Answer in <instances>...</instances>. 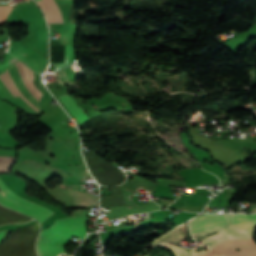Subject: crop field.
Instances as JSON below:
<instances>
[{"label": "crop field", "mask_w": 256, "mask_h": 256, "mask_svg": "<svg viewBox=\"0 0 256 256\" xmlns=\"http://www.w3.org/2000/svg\"><path fill=\"white\" fill-rule=\"evenodd\" d=\"M229 219H239V220H256V214L253 215H243V214H228ZM203 217L206 221L212 220H223L228 219L227 214L222 215H209L204 214ZM202 215L194 218L193 220L189 221V227L192 235L194 237L199 235H205L213 231H217L219 234H216L219 240L229 245L231 248H239L240 250L256 254V244L252 240V238L245 232L247 231L251 236L254 234V226L256 225V221H238V220H230L232 224L236 225L239 228L230 224L229 220L223 221H212L206 222ZM183 234L185 237L186 234L184 232L183 225H181ZM181 227L178 226L174 230L170 231L166 235L157 238L154 242L149 244V246H155L160 243L166 244L171 251H173L176 256H197L205 250H200L198 252H191L189 250H184L177 246H174L175 243L183 238H185L182 234ZM216 235L210 236L208 238L202 239L203 242L202 246H206L207 249L213 247L220 241L216 237ZM219 243L218 245L214 246L213 248L203 252L199 256H213L216 253L222 251L223 249L227 248L228 246L224 243ZM241 251H235L230 248L223 250L222 252L216 254L215 256H239L245 254ZM242 256H256V255H249L245 254Z\"/></svg>", "instance_id": "crop-field-1"}, {"label": "crop field", "mask_w": 256, "mask_h": 256, "mask_svg": "<svg viewBox=\"0 0 256 256\" xmlns=\"http://www.w3.org/2000/svg\"><path fill=\"white\" fill-rule=\"evenodd\" d=\"M86 218L60 219L50 228L43 230L37 242L39 256H57L64 253L62 246L68 243L72 235L82 240L86 235Z\"/></svg>", "instance_id": "crop-field-2"}, {"label": "crop field", "mask_w": 256, "mask_h": 256, "mask_svg": "<svg viewBox=\"0 0 256 256\" xmlns=\"http://www.w3.org/2000/svg\"><path fill=\"white\" fill-rule=\"evenodd\" d=\"M39 224L19 227L0 244V256H37L34 242Z\"/></svg>", "instance_id": "crop-field-3"}, {"label": "crop field", "mask_w": 256, "mask_h": 256, "mask_svg": "<svg viewBox=\"0 0 256 256\" xmlns=\"http://www.w3.org/2000/svg\"><path fill=\"white\" fill-rule=\"evenodd\" d=\"M87 165L98 183L104 186L119 185L125 180V174L115 166L105 162L94 153H85Z\"/></svg>", "instance_id": "crop-field-4"}, {"label": "crop field", "mask_w": 256, "mask_h": 256, "mask_svg": "<svg viewBox=\"0 0 256 256\" xmlns=\"http://www.w3.org/2000/svg\"><path fill=\"white\" fill-rule=\"evenodd\" d=\"M0 202H2L3 204H5L11 208H15L20 211L27 212V213L37 217L41 222L43 220H45L48 216H50L53 212V211L43 208L33 202H30L28 200H25V199H22V198L16 196L4 185V183L1 180H0ZM3 204H1V205H3ZM5 205H3V206H5ZM15 211H17V210H15ZM24 212H21V213L26 214ZM29 214H27V215H29ZM31 215H29V216H31ZM33 216H31V217H33ZM35 217H33V218H35Z\"/></svg>", "instance_id": "crop-field-5"}, {"label": "crop field", "mask_w": 256, "mask_h": 256, "mask_svg": "<svg viewBox=\"0 0 256 256\" xmlns=\"http://www.w3.org/2000/svg\"><path fill=\"white\" fill-rule=\"evenodd\" d=\"M44 169L53 171V172L63 176L64 178L69 176L63 170L57 169L51 165H46L37 160L29 161V160H25V159H21V158H18L16 166L12 170V172L22 175L31 180L33 177H35L39 172L43 171Z\"/></svg>", "instance_id": "crop-field-6"}, {"label": "crop field", "mask_w": 256, "mask_h": 256, "mask_svg": "<svg viewBox=\"0 0 256 256\" xmlns=\"http://www.w3.org/2000/svg\"><path fill=\"white\" fill-rule=\"evenodd\" d=\"M8 72L10 73L11 77L19 87V89L22 91L24 96L31 102L33 103L38 109H40V104L38 100L29 92L16 64L11 66L9 69H7ZM0 97L2 99L5 98H11V94L8 92V90L5 88V86L1 83L0 81Z\"/></svg>", "instance_id": "crop-field-7"}, {"label": "crop field", "mask_w": 256, "mask_h": 256, "mask_svg": "<svg viewBox=\"0 0 256 256\" xmlns=\"http://www.w3.org/2000/svg\"><path fill=\"white\" fill-rule=\"evenodd\" d=\"M44 11L48 24L63 23L61 13L54 0H36Z\"/></svg>", "instance_id": "crop-field-8"}, {"label": "crop field", "mask_w": 256, "mask_h": 256, "mask_svg": "<svg viewBox=\"0 0 256 256\" xmlns=\"http://www.w3.org/2000/svg\"><path fill=\"white\" fill-rule=\"evenodd\" d=\"M109 189L112 191L113 194L105 197H101L100 206H110V207L126 206L120 187H112Z\"/></svg>", "instance_id": "crop-field-9"}, {"label": "crop field", "mask_w": 256, "mask_h": 256, "mask_svg": "<svg viewBox=\"0 0 256 256\" xmlns=\"http://www.w3.org/2000/svg\"><path fill=\"white\" fill-rule=\"evenodd\" d=\"M63 105L73 114V116L80 122H84L86 120H89L87 115L82 111L77 104L73 101L72 98H70L67 95H63L59 97Z\"/></svg>", "instance_id": "crop-field-10"}, {"label": "crop field", "mask_w": 256, "mask_h": 256, "mask_svg": "<svg viewBox=\"0 0 256 256\" xmlns=\"http://www.w3.org/2000/svg\"><path fill=\"white\" fill-rule=\"evenodd\" d=\"M29 220L32 219L0 207V225L7 223H24Z\"/></svg>", "instance_id": "crop-field-11"}, {"label": "crop field", "mask_w": 256, "mask_h": 256, "mask_svg": "<svg viewBox=\"0 0 256 256\" xmlns=\"http://www.w3.org/2000/svg\"><path fill=\"white\" fill-rule=\"evenodd\" d=\"M73 201H98V196L91 195L89 193L81 192V191H74L69 190Z\"/></svg>", "instance_id": "crop-field-12"}, {"label": "crop field", "mask_w": 256, "mask_h": 256, "mask_svg": "<svg viewBox=\"0 0 256 256\" xmlns=\"http://www.w3.org/2000/svg\"><path fill=\"white\" fill-rule=\"evenodd\" d=\"M15 158L0 157V173H6L11 168Z\"/></svg>", "instance_id": "crop-field-13"}, {"label": "crop field", "mask_w": 256, "mask_h": 256, "mask_svg": "<svg viewBox=\"0 0 256 256\" xmlns=\"http://www.w3.org/2000/svg\"><path fill=\"white\" fill-rule=\"evenodd\" d=\"M7 231H1L0 232V240L3 238V236L6 234Z\"/></svg>", "instance_id": "crop-field-14"}]
</instances>
